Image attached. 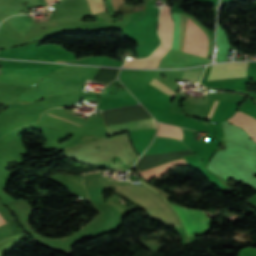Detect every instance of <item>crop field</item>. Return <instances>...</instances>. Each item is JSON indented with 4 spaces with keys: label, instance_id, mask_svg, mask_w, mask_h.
Returning a JSON list of instances; mask_svg holds the SVG:
<instances>
[{
    "label": "crop field",
    "instance_id": "obj_1",
    "mask_svg": "<svg viewBox=\"0 0 256 256\" xmlns=\"http://www.w3.org/2000/svg\"><path fill=\"white\" fill-rule=\"evenodd\" d=\"M170 206L178 214L180 220L182 221V223L185 227L188 237L198 235V233H199V235L209 233L212 220L207 218L204 212L186 209L191 220L193 221V223L198 231V233H197L185 208L177 207L174 205H170Z\"/></svg>",
    "mask_w": 256,
    "mask_h": 256
},
{
    "label": "crop field",
    "instance_id": "obj_2",
    "mask_svg": "<svg viewBox=\"0 0 256 256\" xmlns=\"http://www.w3.org/2000/svg\"><path fill=\"white\" fill-rule=\"evenodd\" d=\"M200 35V28L188 18L183 51L198 55ZM207 45L208 41L202 32L199 55L206 57Z\"/></svg>",
    "mask_w": 256,
    "mask_h": 256
},
{
    "label": "crop field",
    "instance_id": "obj_3",
    "mask_svg": "<svg viewBox=\"0 0 256 256\" xmlns=\"http://www.w3.org/2000/svg\"><path fill=\"white\" fill-rule=\"evenodd\" d=\"M162 45H160L156 51L149 57L145 59L132 60L129 61L124 66L133 68H158L161 58L171 49L172 36L173 33L159 32Z\"/></svg>",
    "mask_w": 256,
    "mask_h": 256
},
{
    "label": "crop field",
    "instance_id": "obj_4",
    "mask_svg": "<svg viewBox=\"0 0 256 256\" xmlns=\"http://www.w3.org/2000/svg\"><path fill=\"white\" fill-rule=\"evenodd\" d=\"M248 62L213 65L207 80L246 77Z\"/></svg>",
    "mask_w": 256,
    "mask_h": 256
},
{
    "label": "crop field",
    "instance_id": "obj_5",
    "mask_svg": "<svg viewBox=\"0 0 256 256\" xmlns=\"http://www.w3.org/2000/svg\"><path fill=\"white\" fill-rule=\"evenodd\" d=\"M106 128H107V134L108 136H110V135H114V134H118L126 131L138 130V129H156V123L154 119H150V120L108 126Z\"/></svg>",
    "mask_w": 256,
    "mask_h": 256
},
{
    "label": "crop field",
    "instance_id": "obj_6",
    "mask_svg": "<svg viewBox=\"0 0 256 256\" xmlns=\"http://www.w3.org/2000/svg\"><path fill=\"white\" fill-rule=\"evenodd\" d=\"M227 121L242 127L256 141V120L238 111Z\"/></svg>",
    "mask_w": 256,
    "mask_h": 256
},
{
    "label": "crop field",
    "instance_id": "obj_7",
    "mask_svg": "<svg viewBox=\"0 0 256 256\" xmlns=\"http://www.w3.org/2000/svg\"><path fill=\"white\" fill-rule=\"evenodd\" d=\"M7 24L15 28L17 31L22 33L23 35H27L28 32L34 26L33 22L27 16H13L6 21Z\"/></svg>",
    "mask_w": 256,
    "mask_h": 256
},
{
    "label": "crop field",
    "instance_id": "obj_8",
    "mask_svg": "<svg viewBox=\"0 0 256 256\" xmlns=\"http://www.w3.org/2000/svg\"><path fill=\"white\" fill-rule=\"evenodd\" d=\"M159 31L173 32V21L170 17V7L164 6L161 10Z\"/></svg>",
    "mask_w": 256,
    "mask_h": 256
},
{
    "label": "crop field",
    "instance_id": "obj_9",
    "mask_svg": "<svg viewBox=\"0 0 256 256\" xmlns=\"http://www.w3.org/2000/svg\"><path fill=\"white\" fill-rule=\"evenodd\" d=\"M158 131H157V134H158ZM158 135L175 137L182 140V130L180 128L161 124V123H160V131Z\"/></svg>",
    "mask_w": 256,
    "mask_h": 256
},
{
    "label": "crop field",
    "instance_id": "obj_10",
    "mask_svg": "<svg viewBox=\"0 0 256 256\" xmlns=\"http://www.w3.org/2000/svg\"><path fill=\"white\" fill-rule=\"evenodd\" d=\"M204 69L184 71L183 79L199 81Z\"/></svg>",
    "mask_w": 256,
    "mask_h": 256
},
{
    "label": "crop field",
    "instance_id": "obj_11",
    "mask_svg": "<svg viewBox=\"0 0 256 256\" xmlns=\"http://www.w3.org/2000/svg\"><path fill=\"white\" fill-rule=\"evenodd\" d=\"M150 84L156 86L161 91H163L164 93H166L172 97H174V95L176 94L173 91H171L170 89H168L166 86H164L162 83H160L158 80H156L155 78L150 82Z\"/></svg>",
    "mask_w": 256,
    "mask_h": 256
},
{
    "label": "crop field",
    "instance_id": "obj_12",
    "mask_svg": "<svg viewBox=\"0 0 256 256\" xmlns=\"http://www.w3.org/2000/svg\"><path fill=\"white\" fill-rule=\"evenodd\" d=\"M178 160H180V159H178ZM174 161V160H173ZM185 161V160H184ZM170 162H172V161H170ZM170 162H168V163H170ZM186 163V162H185ZM165 164H167V163H165ZM162 165H164V164H162ZM177 165H187V163L186 164H177ZM158 166H160V165H158ZM173 166H175V165H173ZM173 166H171V167H173ZM155 167H157V166H155ZM170 167V168H171ZM153 168V167H152ZM149 169H151V168H149ZM169 169V168H168ZM168 169H166V170H168ZM145 170H148V169H145ZM141 171H143V170H141ZM163 171H165V170H163ZM163 171H161V172H163ZM139 172V171H138ZM161 172H159V173H161ZM159 173H157V174H159ZM164 173V172H163ZM163 173H161V174H159V175H156L157 177H159V176H162L163 175ZM154 176V175H153ZM155 177V176H154ZM151 178H153V177H151ZM151 178H149V179H147L148 181L151 179Z\"/></svg>",
    "mask_w": 256,
    "mask_h": 256
},
{
    "label": "crop field",
    "instance_id": "obj_13",
    "mask_svg": "<svg viewBox=\"0 0 256 256\" xmlns=\"http://www.w3.org/2000/svg\"><path fill=\"white\" fill-rule=\"evenodd\" d=\"M216 103H217V101H215V103H214V105H213V107H212V109H211V111H210V113H209V115H208V117H207V120L209 119V117H210V115H211V113H212V111H213V109H214Z\"/></svg>",
    "mask_w": 256,
    "mask_h": 256
},
{
    "label": "crop field",
    "instance_id": "obj_14",
    "mask_svg": "<svg viewBox=\"0 0 256 256\" xmlns=\"http://www.w3.org/2000/svg\"><path fill=\"white\" fill-rule=\"evenodd\" d=\"M39 5H43V4H46L45 0H37Z\"/></svg>",
    "mask_w": 256,
    "mask_h": 256
},
{
    "label": "crop field",
    "instance_id": "obj_15",
    "mask_svg": "<svg viewBox=\"0 0 256 256\" xmlns=\"http://www.w3.org/2000/svg\"><path fill=\"white\" fill-rule=\"evenodd\" d=\"M67 123V122H66ZM70 124V123H69ZM72 125V124H71ZM75 126V125H74ZM76 127H78V126H76Z\"/></svg>",
    "mask_w": 256,
    "mask_h": 256
}]
</instances>
